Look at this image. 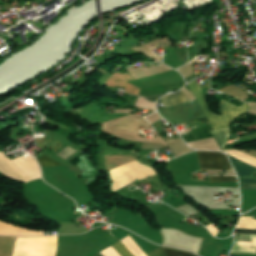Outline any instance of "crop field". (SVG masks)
<instances>
[{"mask_svg": "<svg viewBox=\"0 0 256 256\" xmlns=\"http://www.w3.org/2000/svg\"><path fill=\"white\" fill-rule=\"evenodd\" d=\"M76 150L70 148V147H65L61 152H59L57 154V156L63 158V159H68L69 157H71L73 154H75ZM45 155V154H44ZM43 153L41 155H39L38 157H36V159L38 160L39 164L41 165V167H47V166H62L58 163H56L55 161L51 160L50 158L44 156Z\"/></svg>", "mask_w": 256, "mask_h": 256, "instance_id": "8a807250", "label": "crop field"}, {"mask_svg": "<svg viewBox=\"0 0 256 256\" xmlns=\"http://www.w3.org/2000/svg\"><path fill=\"white\" fill-rule=\"evenodd\" d=\"M164 248H165L167 256H196L194 254L184 252V251H181V250L166 248V247H164ZM165 251H164V253H165ZM166 254H165V256H166Z\"/></svg>", "mask_w": 256, "mask_h": 256, "instance_id": "34b2d1b8", "label": "crop field"}, {"mask_svg": "<svg viewBox=\"0 0 256 256\" xmlns=\"http://www.w3.org/2000/svg\"><path fill=\"white\" fill-rule=\"evenodd\" d=\"M117 252L121 255V256H133L125 247L121 242H118L114 245H112ZM96 256H104L101 252L99 254H97ZM147 256H164L162 248H159L149 254H147Z\"/></svg>", "mask_w": 256, "mask_h": 256, "instance_id": "ac0d7876", "label": "crop field"}]
</instances>
